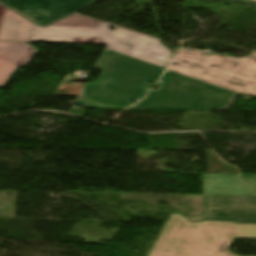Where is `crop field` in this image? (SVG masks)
<instances>
[{
    "label": "crop field",
    "instance_id": "5",
    "mask_svg": "<svg viewBox=\"0 0 256 256\" xmlns=\"http://www.w3.org/2000/svg\"><path fill=\"white\" fill-rule=\"evenodd\" d=\"M109 26L117 28L114 31ZM106 47L127 56L165 68L172 52L159 40L108 23L94 26Z\"/></svg>",
    "mask_w": 256,
    "mask_h": 256
},
{
    "label": "crop field",
    "instance_id": "14",
    "mask_svg": "<svg viewBox=\"0 0 256 256\" xmlns=\"http://www.w3.org/2000/svg\"><path fill=\"white\" fill-rule=\"evenodd\" d=\"M76 43L105 45L102 39L77 37Z\"/></svg>",
    "mask_w": 256,
    "mask_h": 256
},
{
    "label": "crop field",
    "instance_id": "12",
    "mask_svg": "<svg viewBox=\"0 0 256 256\" xmlns=\"http://www.w3.org/2000/svg\"><path fill=\"white\" fill-rule=\"evenodd\" d=\"M99 22H101V21L74 13V14L69 15L51 25L93 27L94 25L98 24Z\"/></svg>",
    "mask_w": 256,
    "mask_h": 256
},
{
    "label": "crop field",
    "instance_id": "11",
    "mask_svg": "<svg viewBox=\"0 0 256 256\" xmlns=\"http://www.w3.org/2000/svg\"><path fill=\"white\" fill-rule=\"evenodd\" d=\"M34 23L5 9L0 27V40L28 41Z\"/></svg>",
    "mask_w": 256,
    "mask_h": 256
},
{
    "label": "crop field",
    "instance_id": "8",
    "mask_svg": "<svg viewBox=\"0 0 256 256\" xmlns=\"http://www.w3.org/2000/svg\"><path fill=\"white\" fill-rule=\"evenodd\" d=\"M37 51L23 42L0 41V87L18 67L26 66Z\"/></svg>",
    "mask_w": 256,
    "mask_h": 256
},
{
    "label": "crop field",
    "instance_id": "2",
    "mask_svg": "<svg viewBox=\"0 0 256 256\" xmlns=\"http://www.w3.org/2000/svg\"><path fill=\"white\" fill-rule=\"evenodd\" d=\"M95 66L103 71L97 83H86L77 97L114 107H127L132 99L142 98L146 91L141 88L143 82H156L164 70L108 49Z\"/></svg>",
    "mask_w": 256,
    "mask_h": 256
},
{
    "label": "crop field",
    "instance_id": "15",
    "mask_svg": "<svg viewBox=\"0 0 256 256\" xmlns=\"http://www.w3.org/2000/svg\"><path fill=\"white\" fill-rule=\"evenodd\" d=\"M4 9H5V7L0 5V22H1V19H2V16H3Z\"/></svg>",
    "mask_w": 256,
    "mask_h": 256
},
{
    "label": "crop field",
    "instance_id": "10",
    "mask_svg": "<svg viewBox=\"0 0 256 256\" xmlns=\"http://www.w3.org/2000/svg\"><path fill=\"white\" fill-rule=\"evenodd\" d=\"M204 194L254 195L238 175H202Z\"/></svg>",
    "mask_w": 256,
    "mask_h": 256
},
{
    "label": "crop field",
    "instance_id": "9",
    "mask_svg": "<svg viewBox=\"0 0 256 256\" xmlns=\"http://www.w3.org/2000/svg\"><path fill=\"white\" fill-rule=\"evenodd\" d=\"M76 36L100 38L94 28L57 27L47 26L42 28L35 25L32 40L51 43H75Z\"/></svg>",
    "mask_w": 256,
    "mask_h": 256
},
{
    "label": "crop field",
    "instance_id": "16",
    "mask_svg": "<svg viewBox=\"0 0 256 256\" xmlns=\"http://www.w3.org/2000/svg\"><path fill=\"white\" fill-rule=\"evenodd\" d=\"M253 1H256V0H253Z\"/></svg>",
    "mask_w": 256,
    "mask_h": 256
},
{
    "label": "crop field",
    "instance_id": "4",
    "mask_svg": "<svg viewBox=\"0 0 256 256\" xmlns=\"http://www.w3.org/2000/svg\"><path fill=\"white\" fill-rule=\"evenodd\" d=\"M158 91L129 109L226 110L238 94L166 71Z\"/></svg>",
    "mask_w": 256,
    "mask_h": 256
},
{
    "label": "crop field",
    "instance_id": "7",
    "mask_svg": "<svg viewBox=\"0 0 256 256\" xmlns=\"http://www.w3.org/2000/svg\"><path fill=\"white\" fill-rule=\"evenodd\" d=\"M204 220L256 223V196L205 195Z\"/></svg>",
    "mask_w": 256,
    "mask_h": 256
},
{
    "label": "crop field",
    "instance_id": "3",
    "mask_svg": "<svg viewBox=\"0 0 256 256\" xmlns=\"http://www.w3.org/2000/svg\"><path fill=\"white\" fill-rule=\"evenodd\" d=\"M202 52L181 49L167 69L242 93L256 96V52L247 57L201 56Z\"/></svg>",
    "mask_w": 256,
    "mask_h": 256
},
{
    "label": "crop field",
    "instance_id": "13",
    "mask_svg": "<svg viewBox=\"0 0 256 256\" xmlns=\"http://www.w3.org/2000/svg\"><path fill=\"white\" fill-rule=\"evenodd\" d=\"M242 179L256 192V174H240Z\"/></svg>",
    "mask_w": 256,
    "mask_h": 256
},
{
    "label": "crop field",
    "instance_id": "1",
    "mask_svg": "<svg viewBox=\"0 0 256 256\" xmlns=\"http://www.w3.org/2000/svg\"><path fill=\"white\" fill-rule=\"evenodd\" d=\"M233 238H256V224L192 223L171 213L149 256H235L227 249Z\"/></svg>",
    "mask_w": 256,
    "mask_h": 256
},
{
    "label": "crop field",
    "instance_id": "6",
    "mask_svg": "<svg viewBox=\"0 0 256 256\" xmlns=\"http://www.w3.org/2000/svg\"><path fill=\"white\" fill-rule=\"evenodd\" d=\"M99 1L101 0H0V3L44 27Z\"/></svg>",
    "mask_w": 256,
    "mask_h": 256
}]
</instances>
